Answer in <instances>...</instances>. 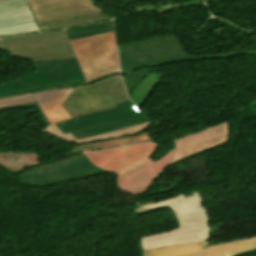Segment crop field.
Wrapping results in <instances>:
<instances>
[{"mask_svg": "<svg viewBox=\"0 0 256 256\" xmlns=\"http://www.w3.org/2000/svg\"><path fill=\"white\" fill-rule=\"evenodd\" d=\"M87 81L119 70L114 33L70 41Z\"/></svg>", "mask_w": 256, "mask_h": 256, "instance_id": "obj_8", "label": "crop field"}, {"mask_svg": "<svg viewBox=\"0 0 256 256\" xmlns=\"http://www.w3.org/2000/svg\"><path fill=\"white\" fill-rule=\"evenodd\" d=\"M108 19H111V18L103 12H99V13L82 15V16H77L72 18L42 22V23H38L37 25L40 31H47L51 29L65 28V27H71V26H76L81 24L99 22V21H104Z\"/></svg>", "mask_w": 256, "mask_h": 256, "instance_id": "obj_17", "label": "crop field"}, {"mask_svg": "<svg viewBox=\"0 0 256 256\" xmlns=\"http://www.w3.org/2000/svg\"><path fill=\"white\" fill-rule=\"evenodd\" d=\"M158 146L150 142L84 154L94 165L117 173L118 188L127 193L142 194L173 159V150L156 162L150 159Z\"/></svg>", "mask_w": 256, "mask_h": 256, "instance_id": "obj_2", "label": "crop field"}, {"mask_svg": "<svg viewBox=\"0 0 256 256\" xmlns=\"http://www.w3.org/2000/svg\"><path fill=\"white\" fill-rule=\"evenodd\" d=\"M39 32L28 5L0 14V36Z\"/></svg>", "mask_w": 256, "mask_h": 256, "instance_id": "obj_13", "label": "crop field"}, {"mask_svg": "<svg viewBox=\"0 0 256 256\" xmlns=\"http://www.w3.org/2000/svg\"><path fill=\"white\" fill-rule=\"evenodd\" d=\"M43 92H47V90H46V91H43ZM39 93H41V92H39ZM32 94H36V93H32ZM33 96H34V95H33ZM34 98H35V97H34ZM35 100H36V99H35ZM16 107H37L38 110L40 111L42 117H43V120H44L46 126L50 125V122L48 121V119L46 118L45 114L43 113V111H42V109H41L39 103L37 102V100H36V102H33V103H27V104H21V105H15V106H9V107L0 108V110H1V109L16 108Z\"/></svg>", "mask_w": 256, "mask_h": 256, "instance_id": "obj_22", "label": "crop field"}, {"mask_svg": "<svg viewBox=\"0 0 256 256\" xmlns=\"http://www.w3.org/2000/svg\"><path fill=\"white\" fill-rule=\"evenodd\" d=\"M207 241L144 251V256H238L256 249V238L206 247Z\"/></svg>", "mask_w": 256, "mask_h": 256, "instance_id": "obj_10", "label": "crop field"}, {"mask_svg": "<svg viewBox=\"0 0 256 256\" xmlns=\"http://www.w3.org/2000/svg\"><path fill=\"white\" fill-rule=\"evenodd\" d=\"M113 31L112 21L102 22L90 26L65 29L68 39H76Z\"/></svg>", "mask_w": 256, "mask_h": 256, "instance_id": "obj_19", "label": "crop field"}, {"mask_svg": "<svg viewBox=\"0 0 256 256\" xmlns=\"http://www.w3.org/2000/svg\"><path fill=\"white\" fill-rule=\"evenodd\" d=\"M33 101H34V99L31 94L22 95V96H17V97L0 99V107L21 104V103H27V102H33Z\"/></svg>", "mask_w": 256, "mask_h": 256, "instance_id": "obj_20", "label": "crop field"}, {"mask_svg": "<svg viewBox=\"0 0 256 256\" xmlns=\"http://www.w3.org/2000/svg\"><path fill=\"white\" fill-rule=\"evenodd\" d=\"M102 173L108 171L94 166L81 153L64 161L46 166L40 165L29 172H22L18 174V182L19 185L45 187Z\"/></svg>", "mask_w": 256, "mask_h": 256, "instance_id": "obj_9", "label": "crop field"}, {"mask_svg": "<svg viewBox=\"0 0 256 256\" xmlns=\"http://www.w3.org/2000/svg\"><path fill=\"white\" fill-rule=\"evenodd\" d=\"M121 73L129 97L130 92L150 73L148 68L186 60L219 57L188 55L176 35L118 46Z\"/></svg>", "mask_w": 256, "mask_h": 256, "instance_id": "obj_3", "label": "crop field"}, {"mask_svg": "<svg viewBox=\"0 0 256 256\" xmlns=\"http://www.w3.org/2000/svg\"><path fill=\"white\" fill-rule=\"evenodd\" d=\"M0 165L11 172L20 173L25 167L39 165L37 153H0Z\"/></svg>", "mask_w": 256, "mask_h": 256, "instance_id": "obj_16", "label": "crop field"}, {"mask_svg": "<svg viewBox=\"0 0 256 256\" xmlns=\"http://www.w3.org/2000/svg\"><path fill=\"white\" fill-rule=\"evenodd\" d=\"M153 140L150 135H148L145 131L130 137H124L119 139L95 142V143H86V144H79L76 146L75 150H97V149H107L112 147H117L120 145H127V144H134V143H141L145 141Z\"/></svg>", "mask_w": 256, "mask_h": 256, "instance_id": "obj_18", "label": "crop field"}, {"mask_svg": "<svg viewBox=\"0 0 256 256\" xmlns=\"http://www.w3.org/2000/svg\"><path fill=\"white\" fill-rule=\"evenodd\" d=\"M242 53H246V54H256V50H254V51H241V52H233V53L219 54V56H220V58H222V57L234 56V55H236V54H242Z\"/></svg>", "mask_w": 256, "mask_h": 256, "instance_id": "obj_23", "label": "crop field"}, {"mask_svg": "<svg viewBox=\"0 0 256 256\" xmlns=\"http://www.w3.org/2000/svg\"><path fill=\"white\" fill-rule=\"evenodd\" d=\"M26 4L25 0H0V13Z\"/></svg>", "mask_w": 256, "mask_h": 256, "instance_id": "obj_21", "label": "crop field"}, {"mask_svg": "<svg viewBox=\"0 0 256 256\" xmlns=\"http://www.w3.org/2000/svg\"><path fill=\"white\" fill-rule=\"evenodd\" d=\"M228 122L175 141V159L171 164L211 150L227 142ZM170 164V165H171Z\"/></svg>", "mask_w": 256, "mask_h": 256, "instance_id": "obj_12", "label": "crop field"}, {"mask_svg": "<svg viewBox=\"0 0 256 256\" xmlns=\"http://www.w3.org/2000/svg\"><path fill=\"white\" fill-rule=\"evenodd\" d=\"M0 49L32 61L76 57L64 30L0 37Z\"/></svg>", "mask_w": 256, "mask_h": 256, "instance_id": "obj_6", "label": "crop field"}, {"mask_svg": "<svg viewBox=\"0 0 256 256\" xmlns=\"http://www.w3.org/2000/svg\"><path fill=\"white\" fill-rule=\"evenodd\" d=\"M116 75H120V73H116V74H113V75H111V76H116ZM111 76H108V77L99 79V80H97V81L105 80V79H107V78H109V77H111ZM97 81H94V82H97ZM94 82H91V83H94ZM89 84H90V83H89ZM83 85H85V84H83ZM78 86H80V85H78Z\"/></svg>", "mask_w": 256, "mask_h": 256, "instance_id": "obj_24", "label": "crop field"}, {"mask_svg": "<svg viewBox=\"0 0 256 256\" xmlns=\"http://www.w3.org/2000/svg\"><path fill=\"white\" fill-rule=\"evenodd\" d=\"M179 196L137 207L138 215L169 208L178 227L140 236L144 250L208 239L209 210L201 192Z\"/></svg>", "mask_w": 256, "mask_h": 256, "instance_id": "obj_1", "label": "crop field"}, {"mask_svg": "<svg viewBox=\"0 0 256 256\" xmlns=\"http://www.w3.org/2000/svg\"><path fill=\"white\" fill-rule=\"evenodd\" d=\"M128 100L121 77L75 87L65 100L64 109L72 117L111 109Z\"/></svg>", "mask_w": 256, "mask_h": 256, "instance_id": "obj_7", "label": "crop field"}, {"mask_svg": "<svg viewBox=\"0 0 256 256\" xmlns=\"http://www.w3.org/2000/svg\"><path fill=\"white\" fill-rule=\"evenodd\" d=\"M36 22L99 12L89 0H26Z\"/></svg>", "mask_w": 256, "mask_h": 256, "instance_id": "obj_11", "label": "crop field"}, {"mask_svg": "<svg viewBox=\"0 0 256 256\" xmlns=\"http://www.w3.org/2000/svg\"><path fill=\"white\" fill-rule=\"evenodd\" d=\"M37 71L0 85V98L85 82L76 58L34 62Z\"/></svg>", "mask_w": 256, "mask_h": 256, "instance_id": "obj_4", "label": "crop field"}, {"mask_svg": "<svg viewBox=\"0 0 256 256\" xmlns=\"http://www.w3.org/2000/svg\"><path fill=\"white\" fill-rule=\"evenodd\" d=\"M149 125H150V123L141 124V125H137V126H134V127L128 128V129H124V130H121V131H118L115 133H111V134H107V135H103V136H99V137H94V138L83 139V140H79V141H76L71 134L63 135L54 124L48 126L47 129L45 131H43V133L50 134L54 137H57L61 140L66 141L68 143H72V142L86 143V142H95V141L119 138V137H124V136H129V135H135V134H138V133L144 131Z\"/></svg>", "mask_w": 256, "mask_h": 256, "instance_id": "obj_15", "label": "crop field"}, {"mask_svg": "<svg viewBox=\"0 0 256 256\" xmlns=\"http://www.w3.org/2000/svg\"><path fill=\"white\" fill-rule=\"evenodd\" d=\"M148 120L128 100L112 110L70 118L55 125L63 133H71L76 140L118 131Z\"/></svg>", "mask_w": 256, "mask_h": 256, "instance_id": "obj_5", "label": "crop field"}, {"mask_svg": "<svg viewBox=\"0 0 256 256\" xmlns=\"http://www.w3.org/2000/svg\"><path fill=\"white\" fill-rule=\"evenodd\" d=\"M73 88H59L35 95L51 124L70 118L62 104Z\"/></svg>", "mask_w": 256, "mask_h": 256, "instance_id": "obj_14", "label": "crop field"}]
</instances>
